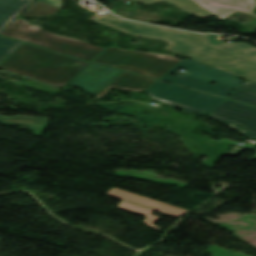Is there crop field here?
<instances>
[{
  "mask_svg": "<svg viewBox=\"0 0 256 256\" xmlns=\"http://www.w3.org/2000/svg\"><path fill=\"white\" fill-rule=\"evenodd\" d=\"M89 64L23 44L0 64V69L63 87Z\"/></svg>",
  "mask_w": 256,
  "mask_h": 256,
  "instance_id": "1",
  "label": "crop field"
},
{
  "mask_svg": "<svg viewBox=\"0 0 256 256\" xmlns=\"http://www.w3.org/2000/svg\"><path fill=\"white\" fill-rule=\"evenodd\" d=\"M59 10L57 7L37 1L22 15L26 17L48 16L59 12ZM22 15L0 32V35L26 41L90 62L106 50L105 48L91 46L80 40L57 36L37 25H28L26 21L19 19Z\"/></svg>",
  "mask_w": 256,
  "mask_h": 256,
  "instance_id": "2",
  "label": "crop field"
},
{
  "mask_svg": "<svg viewBox=\"0 0 256 256\" xmlns=\"http://www.w3.org/2000/svg\"><path fill=\"white\" fill-rule=\"evenodd\" d=\"M178 68L186 69L189 73L181 74L177 72ZM172 72L175 73L176 76H171L170 74ZM160 79L220 95L225 98L244 83L231 74L192 59L182 60ZM213 81L216 82V84L211 85L210 82Z\"/></svg>",
  "mask_w": 256,
  "mask_h": 256,
  "instance_id": "3",
  "label": "crop field"
},
{
  "mask_svg": "<svg viewBox=\"0 0 256 256\" xmlns=\"http://www.w3.org/2000/svg\"><path fill=\"white\" fill-rule=\"evenodd\" d=\"M204 36L205 41L200 46H194L187 57L256 83V56L247 59L240 56L247 52L254 51L256 48L247 43H225L217 40V35ZM220 48H236L240 53L225 55L228 58L227 60L213 62L212 60Z\"/></svg>",
  "mask_w": 256,
  "mask_h": 256,
  "instance_id": "4",
  "label": "crop field"
},
{
  "mask_svg": "<svg viewBox=\"0 0 256 256\" xmlns=\"http://www.w3.org/2000/svg\"><path fill=\"white\" fill-rule=\"evenodd\" d=\"M180 61L172 56L110 47L93 62L159 79Z\"/></svg>",
  "mask_w": 256,
  "mask_h": 256,
  "instance_id": "5",
  "label": "crop field"
},
{
  "mask_svg": "<svg viewBox=\"0 0 256 256\" xmlns=\"http://www.w3.org/2000/svg\"><path fill=\"white\" fill-rule=\"evenodd\" d=\"M145 92L184 112H198L203 115H208L224 100L161 81H157Z\"/></svg>",
  "mask_w": 256,
  "mask_h": 256,
  "instance_id": "6",
  "label": "crop field"
},
{
  "mask_svg": "<svg viewBox=\"0 0 256 256\" xmlns=\"http://www.w3.org/2000/svg\"><path fill=\"white\" fill-rule=\"evenodd\" d=\"M208 117L224 123L243 136L256 139V108L254 107L225 100Z\"/></svg>",
  "mask_w": 256,
  "mask_h": 256,
  "instance_id": "7",
  "label": "crop field"
},
{
  "mask_svg": "<svg viewBox=\"0 0 256 256\" xmlns=\"http://www.w3.org/2000/svg\"><path fill=\"white\" fill-rule=\"evenodd\" d=\"M105 195L123 199L118 204L119 208L147 216V218L144 220L146 225H148L156 230H158L160 228L154 226L152 223L155 222L159 218H157L153 215H150L154 209L166 212L168 214H171V215H174L177 217L181 216L182 214H184L188 211V210H184L182 208H176L174 206H171V205H168V204H165V203L153 200V199L141 197V196L123 191V190L115 188V187H113L108 192H106ZM122 202H125V203L122 204Z\"/></svg>",
  "mask_w": 256,
  "mask_h": 256,
  "instance_id": "8",
  "label": "crop field"
},
{
  "mask_svg": "<svg viewBox=\"0 0 256 256\" xmlns=\"http://www.w3.org/2000/svg\"><path fill=\"white\" fill-rule=\"evenodd\" d=\"M123 71L91 63L69 85L77 86L89 94L96 95Z\"/></svg>",
  "mask_w": 256,
  "mask_h": 256,
  "instance_id": "9",
  "label": "crop field"
},
{
  "mask_svg": "<svg viewBox=\"0 0 256 256\" xmlns=\"http://www.w3.org/2000/svg\"><path fill=\"white\" fill-rule=\"evenodd\" d=\"M97 22L133 36H139L147 32H151V33H156L160 35L183 39V38L191 37L193 35V33L182 32V31H177L172 29L148 26V25L133 23L129 21H118L105 16L99 18Z\"/></svg>",
  "mask_w": 256,
  "mask_h": 256,
  "instance_id": "10",
  "label": "crop field"
},
{
  "mask_svg": "<svg viewBox=\"0 0 256 256\" xmlns=\"http://www.w3.org/2000/svg\"><path fill=\"white\" fill-rule=\"evenodd\" d=\"M207 9L217 18H222L232 11L252 14L256 0H193Z\"/></svg>",
  "mask_w": 256,
  "mask_h": 256,
  "instance_id": "11",
  "label": "crop field"
},
{
  "mask_svg": "<svg viewBox=\"0 0 256 256\" xmlns=\"http://www.w3.org/2000/svg\"><path fill=\"white\" fill-rule=\"evenodd\" d=\"M156 81L157 80L125 72L105 90L98 94L97 97L100 98L103 96L111 87L126 89L130 91H145Z\"/></svg>",
  "mask_w": 256,
  "mask_h": 256,
  "instance_id": "12",
  "label": "crop field"
},
{
  "mask_svg": "<svg viewBox=\"0 0 256 256\" xmlns=\"http://www.w3.org/2000/svg\"><path fill=\"white\" fill-rule=\"evenodd\" d=\"M140 38L165 40L168 42V45L164 49L174 51L185 56L188 55V53L192 50L194 45H200L204 41V37L202 34H200V36L194 35L193 37L184 40L174 39L151 33H148L144 36H140Z\"/></svg>",
  "mask_w": 256,
  "mask_h": 256,
  "instance_id": "13",
  "label": "crop field"
},
{
  "mask_svg": "<svg viewBox=\"0 0 256 256\" xmlns=\"http://www.w3.org/2000/svg\"><path fill=\"white\" fill-rule=\"evenodd\" d=\"M35 0H0V30Z\"/></svg>",
  "mask_w": 256,
  "mask_h": 256,
  "instance_id": "14",
  "label": "crop field"
},
{
  "mask_svg": "<svg viewBox=\"0 0 256 256\" xmlns=\"http://www.w3.org/2000/svg\"><path fill=\"white\" fill-rule=\"evenodd\" d=\"M0 122L16 125L29 126L36 135H44L48 118H34L26 116L3 117L0 115Z\"/></svg>",
  "mask_w": 256,
  "mask_h": 256,
  "instance_id": "15",
  "label": "crop field"
},
{
  "mask_svg": "<svg viewBox=\"0 0 256 256\" xmlns=\"http://www.w3.org/2000/svg\"><path fill=\"white\" fill-rule=\"evenodd\" d=\"M133 1L142 2L146 4H150L157 1L169 2L176 5L178 9L192 15H196L203 18H208L209 16L212 15L210 12L203 9L202 7H200L199 5H197L191 0H133Z\"/></svg>",
  "mask_w": 256,
  "mask_h": 256,
  "instance_id": "16",
  "label": "crop field"
},
{
  "mask_svg": "<svg viewBox=\"0 0 256 256\" xmlns=\"http://www.w3.org/2000/svg\"><path fill=\"white\" fill-rule=\"evenodd\" d=\"M228 99L256 106V84L249 81L245 82Z\"/></svg>",
  "mask_w": 256,
  "mask_h": 256,
  "instance_id": "17",
  "label": "crop field"
},
{
  "mask_svg": "<svg viewBox=\"0 0 256 256\" xmlns=\"http://www.w3.org/2000/svg\"><path fill=\"white\" fill-rule=\"evenodd\" d=\"M23 43L0 37V63L18 49Z\"/></svg>",
  "mask_w": 256,
  "mask_h": 256,
  "instance_id": "18",
  "label": "crop field"
},
{
  "mask_svg": "<svg viewBox=\"0 0 256 256\" xmlns=\"http://www.w3.org/2000/svg\"><path fill=\"white\" fill-rule=\"evenodd\" d=\"M238 53L236 49H220L216 57L214 58V61L224 60L226 57H224V54H233Z\"/></svg>",
  "mask_w": 256,
  "mask_h": 256,
  "instance_id": "19",
  "label": "crop field"
},
{
  "mask_svg": "<svg viewBox=\"0 0 256 256\" xmlns=\"http://www.w3.org/2000/svg\"><path fill=\"white\" fill-rule=\"evenodd\" d=\"M41 1L52 4V5L57 6L59 8L62 7V3H60L62 0H41Z\"/></svg>",
  "mask_w": 256,
  "mask_h": 256,
  "instance_id": "20",
  "label": "crop field"
},
{
  "mask_svg": "<svg viewBox=\"0 0 256 256\" xmlns=\"http://www.w3.org/2000/svg\"><path fill=\"white\" fill-rule=\"evenodd\" d=\"M243 148L234 147L230 152V156H236Z\"/></svg>",
  "mask_w": 256,
  "mask_h": 256,
  "instance_id": "21",
  "label": "crop field"
},
{
  "mask_svg": "<svg viewBox=\"0 0 256 256\" xmlns=\"http://www.w3.org/2000/svg\"><path fill=\"white\" fill-rule=\"evenodd\" d=\"M102 15H105V16H108V17H112V18H115V19H119V18H117V17H115V16H113V15H111V14H109V13H105V14H100V15H98V17L95 18L93 21L96 22V20H97L100 16H102ZM119 20H121V19H119Z\"/></svg>",
  "mask_w": 256,
  "mask_h": 256,
  "instance_id": "22",
  "label": "crop field"
},
{
  "mask_svg": "<svg viewBox=\"0 0 256 256\" xmlns=\"http://www.w3.org/2000/svg\"><path fill=\"white\" fill-rule=\"evenodd\" d=\"M253 55H256V51H255V52L248 53V54H246V55H243V57L247 58V57H250V56H253Z\"/></svg>",
  "mask_w": 256,
  "mask_h": 256,
  "instance_id": "23",
  "label": "crop field"
},
{
  "mask_svg": "<svg viewBox=\"0 0 256 256\" xmlns=\"http://www.w3.org/2000/svg\"><path fill=\"white\" fill-rule=\"evenodd\" d=\"M250 160H256V155H255V157H252Z\"/></svg>",
  "mask_w": 256,
  "mask_h": 256,
  "instance_id": "24",
  "label": "crop field"
},
{
  "mask_svg": "<svg viewBox=\"0 0 256 256\" xmlns=\"http://www.w3.org/2000/svg\"><path fill=\"white\" fill-rule=\"evenodd\" d=\"M232 13H233V12H232ZM230 14H231V13H230ZM228 15H229V14H228ZM228 15H227V16H228ZM227 16H226V17H227ZM226 17H224V18H226ZM224 18H223V19H224Z\"/></svg>",
  "mask_w": 256,
  "mask_h": 256,
  "instance_id": "25",
  "label": "crop field"
}]
</instances>
